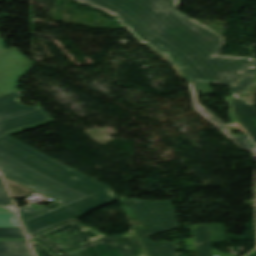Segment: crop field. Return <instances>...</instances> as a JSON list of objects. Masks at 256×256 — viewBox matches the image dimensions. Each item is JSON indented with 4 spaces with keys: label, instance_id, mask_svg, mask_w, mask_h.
Returning <instances> with one entry per match:
<instances>
[{
    "label": "crop field",
    "instance_id": "crop-field-1",
    "mask_svg": "<svg viewBox=\"0 0 256 256\" xmlns=\"http://www.w3.org/2000/svg\"><path fill=\"white\" fill-rule=\"evenodd\" d=\"M0 97V172L60 205L21 221L28 236L116 201L110 187L93 180L8 135L53 122L40 107Z\"/></svg>",
    "mask_w": 256,
    "mask_h": 256
},
{
    "label": "crop field",
    "instance_id": "crop-field-2",
    "mask_svg": "<svg viewBox=\"0 0 256 256\" xmlns=\"http://www.w3.org/2000/svg\"><path fill=\"white\" fill-rule=\"evenodd\" d=\"M113 12L190 81L234 86L252 59L219 55L223 38L176 12L178 0H86Z\"/></svg>",
    "mask_w": 256,
    "mask_h": 256
},
{
    "label": "crop field",
    "instance_id": "crop-field-3",
    "mask_svg": "<svg viewBox=\"0 0 256 256\" xmlns=\"http://www.w3.org/2000/svg\"><path fill=\"white\" fill-rule=\"evenodd\" d=\"M145 228L135 230L149 256H177L179 248L171 242L152 243L148 236L179 228L169 201L147 202L136 198L123 201ZM226 241L224 224L192 225V239H184L186 250L197 256H224L211 248V242Z\"/></svg>",
    "mask_w": 256,
    "mask_h": 256
},
{
    "label": "crop field",
    "instance_id": "crop-field-4",
    "mask_svg": "<svg viewBox=\"0 0 256 256\" xmlns=\"http://www.w3.org/2000/svg\"><path fill=\"white\" fill-rule=\"evenodd\" d=\"M30 238L55 256H145L132 231L109 237L74 219Z\"/></svg>",
    "mask_w": 256,
    "mask_h": 256
},
{
    "label": "crop field",
    "instance_id": "crop-field-5",
    "mask_svg": "<svg viewBox=\"0 0 256 256\" xmlns=\"http://www.w3.org/2000/svg\"><path fill=\"white\" fill-rule=\"evenodd\" d=\"M255 76L256 59L252 61L238 86L230 89L232 95L225 97L226 101L230 105V118L233 121L230 124L223 123L219 118L198 102L197 96L199 95L197 91H201L203 94L212 92L208 84L188 82L193 109L233 141L237 146L252 153H256V148L248 135L235 137L229 131L246 128L256 143V108L254 105H246L241 97L250 87ZM231 115H233V117H231Z\"/></svg>",
    "mask_w": 256,
    "mask_h": 256
},
{
    "label": "crop field",
    "instance_id": "crop-field-6",
    "mask_svg": "<svg viewBox=\"0 0 256 256\" xmlns=\"http://www.w3.org/2000/svg\"><path fill=\"white\" fill-rule=\"evenodd\" d=\"M32 68V62L14 47L0 57V96L18 90V79Z\"/></svg>",
    "mask_w": 256,
    "mask_h": 256
},
{
    "label": "crop field",
    "instance_id": "crop-field-7",
    "mask_svg": "<svg viewBox=\"0 0 256 256\" xmlns=\"http://www.w3.org/2000/svg\"><path fill=\"white\" fill-rule=\"evenodd\" d=\"M0 256H33L26 240L0 241Z\"/></svg>",
    "mask_w": 256,
    "mask_h": 256
},
{
    "label": "crop field",
    "instance_id": "crop-field-8",
    "mask_svg": "<svg viewBox=\"0 0 256 256\" xmlns=\"http://www.w3.org/2000/svg\"><path fill=\"white\" fill-rule=\"evenodd\" d=\"M3 178H4L13 197L26 196V195H30V194L34 193L33 191L19 185L18 183H16L15 181H13L7 177H3Z\"/></svg>",
    "mask_w": 256,
    "mask_h": 256
},
{
    "label": "crop field",
    "instance_id": "crop-field-9",
    "mask_svg": "<svg viewBox=\"0 0 256 256\" xmlns=\"http://www.w3.org/2000/svg\"><path fill=\"white\" fill-rule=\"evenodd\" d=\"M0 212H15L14 206L8 196V193L0 179Z\"/></svg>",
    "mask_w": 256,
    "mask_h": 256
},
{
    "label": "crop field",
    "instance_id": "crop-field-10",
    "mask_svg": "<svg viewBox=\"0 0 256 256\" xmlns=\"http://www.w3.org/2000/svg\"><path fill=\"white\" fill-rule=\"evenodd\" d=\"M25 238L20 227H1L0 239Z\"/></svg>",
    "mask_w": 256,
    "mask_h": 256
},
{
    "label": "crop field",
    "instance_id": "crop-field-11",
    "mask_svg": "<svg viewBox=\"0 0 256 256\" xmlns=\"http://www.w3.org/2000/svg\"><path fill=\"white\" fill-rule=\"evenodd\" d=\"M1 226H20L15 213H0Z\"/></svg>",
    "mask_w": 256,
    "mask_h": 256
},
{
    "label": "crop field",
    "instance_id": "crop-field-12",
    "mask_svg": "<svg viewBox=\"0 0 256 256\" xmlns=\"http://www.w3.org/2000/svg\"><path fill=\"white\" fill-rule=\"evenodd\" d=\"M56 204H58V203L56 202V203H54V204H52V205H50V206H48V207H46V208H43V209H41V210H38V211L34 210V209H33L32 207H30V206L25 207V208H22V209H19L18 211H19L20 219H23V218L28 217V216H30V215H33V214H35V213L41 212V211H43V210H46V209H48V208H50V207H52V206H54V205H56ZM30 217H31V216H30Z\"/></svg>",
    "mask_w": 256,
    "mask_h": 256
},
{
    "label": "crop field",
    "instance_id": "crop-field-13",
    "mask_svg": "<svg viewBox=\"0 0 256 256\" xmlns=\"http://www.w3.org/2000/svg\"><path fill=\"white\" fill-rule=\"evenodd\" d=\"M30 243L34 249L36 256H51L43 247L39 246L32 240H30Z\"/></svg>",
    "mask_w": 256,
    "mask_h": 256
},
{
    "label": "crop field",
    "instance_id": "crop-field-14",
    "mask_svg": "<svg viewBox=\"0 0 256 256\" xmlns=\"http://www.w3.org/2000/svg\"><path fill=\"white\" fill-rule=\"evenodd\" d=\"M0 1H2V0H0ZM4 49H5V40L1 39V37H0V55H2L5 52Z\"/></svg>",
    "mask_w": 256,
    "mask_h": 256
},
{
    "label": "crop field",
    "instance_id": "crop-field-15",
    "mask_svg": "<svg viewBox=\"0 0 256 256\" xmlns=\"http://www.w3.org/2000/svg\"><path fill=\"white\" fill-rule=\"evenodd\" d=\"M81 1V0H80ZM84 1V0H83Z\"/></svg>",
    "mask_w": 256,
    "mask_h": 256
}]
</instances>
